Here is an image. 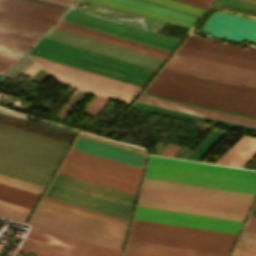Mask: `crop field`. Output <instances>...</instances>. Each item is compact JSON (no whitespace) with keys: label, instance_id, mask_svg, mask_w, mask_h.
Returning <instances> with one entry per match:
<instances>
[{"label":"crop field","instance_id":"obj_1","mask_svg":"<svg viewBox=\"0 0 256 256\" xmlns=\"http://www.w3.org/2000/svg\"><path fill=\"white\" fill-rule=\"evenodd\" d=\"M141 169L70 149L52 185L133 205ZM50 185L45 197L124 220L131 206Z\"/></svg>","mask_w":256,"mask_h":256},{"label":"crop field","instance_id":"obj_21","mask_svg":"<svg viewBox=\"0 0 256 256\" xmlns=\"http://www.w3.org/2000/svg\"><path fill=\"white\" fill-rule=\"evenodd\" d=\"M153 209L243 222L246 215L139 199L138 205Z\"/></svg>","mask_w":256,"mask_h":256},{"label":"crop field","instance_id":"obj_3","mask_svg":"<svg viewBox=\"0 0 256 256\" xmlns=\"http://www.w3.org/2000/svg\"><path fill=\"white\" fill-rule=\"evenodd\" d=\"M68 145L0 124V173L45 186Z\"/></svg>","mask_w":256,"mask_h":256},{"label":"crop field","instance_id":"obj_47","mask_svg":"<svg viewBox=\"0 0 256 256\" xmlns=\"http://www.w3.org/2000/svg\"><path fill=\"white\" fill-rule=\"evenodd\" d=\"M0 22H4V23H7V24H11V25H15V26H19V27H23V28H27V29H31V30H35V31H39V32H43V33H45V31H41V30H37V29H33V28H29V27H26V26H22V25H18V24L10 23V22L3 21V20H0Z\"/></svg>","mask_w":256,"mask_h":256},{"label":"crop field","instance_id":"obj_8","mask_svg":"<svg viewBox=\"0 0 256 256\" xmlns=\"http://www.w3.org/2000/svg\"><path fill=\"white\" fill-rule=\"evenodd\" d=\"M146 177L256 194V180L148 164Z\"/></svg>","mask_w":256,"mask_h":256},{"label":"crop field","instance_id":"obj_37","mask_svg":"<svg viewBox=\"0 0 256 256\" xmlns=\"http://www.w3.org/2000/svg\"><path fill=\"white\" fill-rule=\"evenodd\" d=\"M232 256H256V246L239 241Z\"/></svg>","mask_w":256,"mask_h":256},{"label":"crop field","instance_id":"obj_26","mask_svg":"<svg viewBox=\"0 0 256 256\" xmlns=\"http://www.w3.org/2000/svg\"><path fill=\"white\" fill-rule=\"evenodd\" d=\"M178 51L256 69V62L251 61V60H246V59H242V58H237V57H233V56L210 52V51L197 49V48H193V47H188V46H184V45H181V47L178 49Z\"/></svg>","mask_w":256,"mask_h":256},{"label":"crop field","instance_id":"obj_7","mask_svg":"<svg viewBox=\"0 0 256 256\" xmlns=\"http://www.w3.org/2000/svg\"><path fill=\"white\" fill-rule=\"evenodd\" d=\"M21 251L41 256H122L120 251L32 226Z\"/></svg>","mask_w":256,"mask_h":256},{"label":"crop field","instance_id":"obj_5","mask_svg":"<svg viewBox=\"0 0 256 256\" xmlns=\"http://www.w3.org/2000/svg\"><path fill=\"white\" fill-rule=\"evenodd\" d=\"M236 235L134 219L132 239L228 253Z\"/></svg>","mask_w":256,"mask_h":256},{"label":"crop field","instance_id":"obj_36","mask_svg":"<svg viewBox=\"0 0 256 256\" xmlns=\"http://www.w3.org/2000/svg\"><path fill=\"white\" fill-rule=\"evenodd\" d=\"M0 29L10 31L13 33H17V34H21V35H25V36H29V37H33V38H37V39H39L43 35V33L7 25L4 23H0Z\"/></svg>","mask_w":256,"mask_h":256},{"label":"crop field","instance_id":"obj_38","mask_svg":"<svg viewBox=\"0 0 256 256\" xmlns=\"http://www.w3.org/2000/svg\"><path fill=\"white\" fill-rule=\"evenodd\" d=\"M80 136H84V137H87V138H90V139H94V140H97V141H101V142H104V143H107V144H111V145H114V146H118V147H121V148H124V149H128V150L135 151V152L146 155L145 151L142 150L143 148L140 149V148H136V147H132V146L112 142V141H109V140H106V139H103V138H100V137H96V136H93V135H90V134H87V133H84V132H81Z\"/></svg>","mask_w":256,"mask_h":256},{"label":"crop field","instance_id":"obj_29","mask_svg":"<svg viewBox=\"0 0 256 256\" xmlns=\"http://www.w3.org/2000/svg\"><path fill=\"white\" fill-rule=\"evenodd\" d=\"M115 1H119V2L126 3V4H129V5H133V6H136V7L144 8V9H147V10H151V11H154V12H158V13H161V14H165V15H168V16H172V17L179 18V19L186 20V21L193 22V23H195L196 20L198 19V17H194V16H191V15L180 13V12H177V11H173V10L166 9V8H163V7H159V6H156V5H152V4H149V3L141 2V1H138V0H115Z\"/></svg>","mask_w":256,"mask_h":256},{"label":"crop field","instance_id":"obj_49","mask_svg":"<svg viewBox=\"0 0 256 256\" xmlns=\"http://www.w3.org/2000/svg\"><path fill=\"white\" fill-rule=\"evenodd\" d=\"M47 1L55 2V3H59V4H63V5H67V6H69V5H70V3H66V2H62V1H58V0H47Z\"/></svg>","mask_w":256,"mask_h":256},{"label":"crop field","instance_id":"obj_20","mask_svg":"<svg viewBox=\"0 0 256 256\" xmlns=\"http://www.w3.org/2000/svg\"><path fill=\"white\" fill-rule=\"evenodd\" d=\"M256 157V138L243 135L215 163L243 168Z\"/></svg>","mask_w":256,"mask_h":256},{"label":"crop field","instance_id":"obj_53","mask_svg":"<svg viewBox=\"0 0 256 256\" xmlns=\"http://www.w3.org/2000/svg\"><path fill=\"white\" fill-rule=\"evenodd\" d=\"M253 214H256V207H255V209H254V211H253Z\"/></svg>","mask_w":256,"mask_h":256},{"label":"crop field","instance_id":"obj_51","mask_svg":"<svg viewBox=\"0 0 256 256\" xmlns=\"http://www.w3.org/2000/svg\"><path fill=\"white\" fill-rule=\"evenodd\" d=\"M62 1H66V2L72 3L74 0H62Z\"/></svg>","mask_w":256,"mask_h":256},{"label":"crop field","instance_id":"obj_30","mask_svg":"<svg viewBox=\"0 0 256 256\" xmlns=\"http://www.w3.org/2000/svg\"><path fill=\"white\" fill-rule=\"evenodd\" d=\"M97 1L104 2V3L114 5V6H117V7H121V8L131 10V11H134V12H138V13H141V14H145V15L155 17V18H158V19H162V20L172 22V23H175V24H179V25H182V26H185V27L191 28L192 25H193L192 23H189V22H186V21H182V20H179V19H175V18H172V17H168V16H165V15H161V14L154 13V12H151V11H147V10H144V9L136 8V7L129 6V5H126V4H122V3H119V2H115V1H112V0H97Z\"/></svg>","mask_w":256,"mask_h":256},{"label":"crop field","instance_id":"obj_54","mask_svg":"<svg viewBox=\"0 0 256 256\" xmlns=\"http://www.w3.org/2000/svg\"><path fill=\"white\" fill-rule=\"evenodd\" d=\"M30 118V117H29ZM34 119V118H33ZM37 120V119H36ZM41 121V120H40ZM48 123V122H47ZM52 124V123H51ZM55 125V124H54ZM59 126V125H58ZM62 127V126H61ZM72 130V129H71Z\"/></svg>","mask_w":256,"mask_h":256},{"label":"crop field","instance_id":"obj_25","mask_svg":"<svg viewBox=\"0 0 256 256\" xmlns=\"http://www.w3.org/2000/svg\"><path fill=\"white\" fill-rule=\"evenodd\" d=\"M39 194L0 184V200L33 208Z\"/></svg>","mask_w":256,"mask_h":256},{"label":"crop field","instance_id":"obj_24","mask_svg":"<svg viewBox=\"0 0 256 256\" xmlns=\"http://www.w3.org/2000/svg\"><path fill=\"white\" fill-rule=\"evenodd\" d=\"M146 92L256 116V110L148 86Z\"/></svg>","mask_w":256,"mask_h":256},{"label":"crop field","instance_id":"obj_4","mask_svg":"<svg viewBox=\"0 0 256 256\" xmlns=\"http://www.w3.org/2000/svg\"><path fill=\"white\" fill-rule=\"evenodd\" d=\"M37 56L144 86L155 69L44 38L30 52ZM134 84V85H135ZM141 86V87H142Z\"/></svg>","mask_w":256,"mask_h":256},{"label":"crop field","instance_id":"obj_6","mask_svg":"<svg viewBox=\"0 0 256 256\" xmlns=\"http://www.w3.org/2000/svg\"><path fill=\"white\" fill-rule=\"evenodd\" d=\"M60 83L130 103L142 88L128 82L31 55Z\"/></svg>","mask_w":256,"mask_h":256},{"label":"crop field","instance_id":"obj_46","mask_svg":"<svg viewBox=\"0 0 256 256\" xmlns=\"http://www.w3.org/2000/svg\"><path fill=\"white\" fill-rule=\"evenodd\" d=\"M0 61H4V62L14 64L17 61V59H13V58H9V57H5V56L0 55Z\"/></svg>","mask_w":256,"mask_h":256},{"label":"crop field","instance_id":"obj_28","mask_svg":"<svg viewBox=\"0 0 256 256\" xmlns=\"http://www.w3.org/2000/svg\"><path fill=\"white\" fill-rule=\"evenodd\" d=\"M36 41L37 39L0 30V45L2 46L26 52Z\"/></svg>","mask_w":256,"mask_h":256},{"label":"crop field","instance_id":"obj_43","mask_svg":"<svg viewBox=\"0 0 256 256\" xmlns=\"http://www.w3.org/2000/svg\"><path fill=\"white\" fill-rule=\"evenodd\" d=\"M41 67L37 65L35 62L29 66L22 74L31 77L35 72H37Z\"/></svg>","mask_w":256,"mask_h":256},{"label":"crop field","instance_id":"obj_40","mask_svg":"<svg viewBox=\"0 0 256 256\" xmlns=\"http://www.w3.org/2000/svg\"><path fill=\"white\" fill-rule=\"evenodd\" d=\"M193 6L206 9L213 0H176Z\"/></svg>","mask_w":256,"mask_h":256},{"label":"crop field","instance_id":"obj_18","mask_svg":"<svg viewBox=\"0 0 256 256\" xmlns=\"http://www.w3.org/2000/svg\"><path fill=\"white\" fill-rule=\"evenodd\" d=\"M0 11L53 24L64 10L25 0H0Z\"/></svg>","mask_w":256,"mask_h":256},{"label":"crop field","instance_id":"obj_50","mask_svg":"<svg viewBox=\"0 0 256 256\" xmlns=\"http://www.w3.org/2000/svg\"><path fill=\"white\" fill-rule=\"evenodd\" d=\"M249 222L255 223L256 224V215H251Z\"/></svg>","mask_w":256,"mask_h":256},{"label":"crop field","instance_id":"obj_22","mask_svg":"<svg viewBox=\"0 0 256 256\" xmlns=\"http://www.w3.org/2000/svg\"><path fill=\"white\" fill-rule=\"evenodd\" d=\"M148 163L256 179V172L254 171L239 170L162 157L150 156Z\"/></svg>","mask_w":256,"mask_h":256},{"label":"crop field","instance_id":"obj_35","mask_svg":"<svg viewBox=\"0 0 256 256\" xmlns=\"http://www.w3.org/2000/svg\"><path fill=\"white\" fill-rule=\"evenodd\" d=\"M150 1L157 2V3H160V4H164V5H167V6H171V7H174V8H178V9H181V10H185V11L192 12V13L199 14V15H201L202 12L204 11V9L193 7V6L183 4V3H180V2H176V1H173V0H150Z\"/></svg>","mask_w":256,"mask_h":256},{"label":"crop field","instance_id":"obj_34","mask_svg":"<svg viewBox=\"0 0 256 256\" xmlns=\"http://www.w3.org/2000/svg\"><path fill=\"white\" fill-rule=\"evenodd\" d=\"M59 24H63V25H66V26H70V27L77 28V29H80V30H84V31H87V32H90V33H94V34H97V35H101V36H104V37H108V38H111V39H115V40H118V41H122V42H125V43H129V44H132V45H136V46H139V47H142V48H146V49H149V50H153V51H156V52H160V53L169 55V52H165V51H162V50H158V49H155V48L144 46V45H141V44H138V43H134V42L127 41V40H124V39H120V38H117V37L106 35V34H103V33L92 31V30L82 28V27H79V26H75V25H72V24H68V23H65V22L59 21Z\"/></svg>","mask_w":256,"mask_h":256},{"label":"crop field","instance_id":"obj_41","mask_svg":"<svg viewBox=\"0 0 256 256\" xmlns=\"http://www.w3.org/2000/svg\"><path fill=\"white\" fill-rule=\"evenodd\" d=\"M239 240L256 245V234L244 230Z\"/></svg>","mask_w":256,"mask_h":256},{"label":"crop field","instance_id":"obj_33","mask_svg":"<svg viewBox=\"0 0 256 256\" xmlns=\"http://www.w3.org/2000/svg\"><path fill=\"white\" fill-rule=\"evenodd\" d=\"M27 215H28V212H24V211L14 209L11 207H7V206L0 204V216L1 217L24 223Z\"/></svg>","mask_w":256,"mask_h":256},{"label":"crop field","instance_id":"obj_32","mask_svg":"<svg viewBox=\"0 0 256 256\" xmlns=\"http://www.w3.org/2000/svg\"><path fill=\"white\" fill-rule=\"evenodd\" d=\"M0 183L7 184V185H10V186H14V187H18V188L25 189V190H28V191H32V192H35V193H39V194L41 193V191L43 189V186H39V185H36V184H32V183H29V182H25V181H22V180H18V179H15V178L4 176V175H1V174H0Z\"/></svg>","mask_w":256,"mask_h":256},{"label":"crop field","instance_id":"obj_14","mask_svg":"<svg viewBox=\"0 0 256 256\" xmlns=\"http://www.w3.org/2000/svg\"><path fill=\"white\" fill-rule=\"evenodd\" d=\"M28 224L68 235L74 238L118 249L120 251L122 249L124 241L123 238H119L35 213H33Z\"/></svg>","mask_w":256,"mask_h":256},{"label":"crop field","instance_id":"obj_42","mask_svg":"<svg viewBox=\"0 0 256 256\" xmlns=\"http://www.w3.org/2000/svg\"><path fill=\"white\" fill-rule=\"evenodd\" d=\"M178 149L179 146L168 144V146L165 148L161 155L173 157V155L176 153Z\"/></svg>","mask_w":256,"mask_h":256},{"label":"crop field","instance_id":"obj_12","mask_svg":"<svg viewBox=\"0 0 256 256\" xmlns=\"http://www.w3.org/2000/svg\"><path fill=\"white\" fill-rule=\"evenodd\" d=\"M46 38H50L53 40H57L60 42H64L67 44H71L74 46H78L81 48H85L88 50H92L95 52H99L102 54H106L109 56H113L116 58H120L123 60H127L130 62H134L144 66L155 68V69H157L160 66V64L163 62V60H159L153 57H149L143 54L122 49L116 46H112L106 43H102L96 40L85 38V37L75 35V34L65 32L55 28H53L50 31V33L46 36Z\"/></svg>","mask_w":256,"mask_h":256},{"label":"crop field","instance_id":"obj_31","mask_svg":"<svg viewBox=\"0 0 256 256\" xmlns=\"http://www.w3.org/2000/svg\"><path fill=\"white\" fill-rule=\"evenodd\" d=\"M0 19L18 23V24H22V25H26L29 27L37 28V29H41V30H45V31H47L49 29V27L51 26L50 24H46V23L14 16V15L6 14V13H2V12H0Z\"/></svg>","mask_w":256,"mask_h":256},{"label":"crop field","instance_id":"obj_27","mask_svg":"<svg viewBox=\"0 0 256 256\" xmlns=\"http://www.w3.org/2000/svg\"><path fill=\"white\" fill-rule=\"evenodd\" d=\"M55 28H59V29L69 31V32H72V33H75V34H79V35H82V36H85V37H89V38L96 39V40H99V41H102V42H106V43H109V44H112V45H116V46H119V47H122V48L133 50V51L143 53V54H146V55H149V56H153V57H156V58H159V59L165 60L166 57H167V55H163V54H160V53H156V52H153V51L142 49V48H139V47H136V46H132V45L125 44V43H122V42H118V41H115V40L104 38V37H101V36L90 34V33L80 31V30H77V29H73V28H70V27H66V26H63V25L57 24L55 26Z\"/></svg>","mask_w":256,"mask_h":256},{"label":"crop field","instance_id":"obj_13","mask_svg":"<svg viewBox=\"0 0 256 256\" xmlns=\"http://www.w3.org/2000/svg\"><path fill=\"white\" fill-rule=\"evenodd\" d=\"M64 19L82 23V24H85L88 26H92L95 28L113 32V33H116L119 35H123L126 37L144 41V42L154 44L157 46H161L164 48H168L171 50H173L174 47L179 42V40H175V39L168 38L165 36L157 35L154 33H150V32L143 31V30L136 29V28L129 27V26H125L122 24H118L115 22H111L108 20H104L101 18L86 15V14L79 13V12L72 11V10L69 11V13L64 17Z\"/></svg>","mask_w":256,"mask_h":256},{"label":"crop field","instance_id":"obj_2","mask_svg":"<svg viewBox=\"0 0 256 256\" xmlns=\"http://www.w3.org/2000/svg\"><path fill=\"white\" fill-rule=\"evenodd\" d=\"M165 69L256 89V70L176 52ZM162 69L151 86L256 109V90Z\"/></svg>","mask_w":256,"mask_h":256},{"label":"crop field","instance_id":"obj_39","mask_svg":"<svg viewBox=\"0 0 256 256\" xmlns=\"http://www.w3.org/2000/svg\"><path fill=\"white\" fill-rule=\"evenodd\" d=\"M218 1L256 10V4L250 3V2H245L241 0H218Z\"/></svg>","mask_w":256,"mask_h":256},{"label":"crop field","instance_id":"obj_11","mask_svg":"<svg viewBox=\"0 0 256 256\" xmlns=\"http://www.w3.org/2000/svg\"><path fill=\"white\" fill-rule=\"evenodd\" d=\"M137 219L237 234L242 223L137 207Z\"/></svg>","mask_w":256,"mask_h":256},{"label":"crop field","instance_id":"obj_23","mask_svg":"<svg viewBox=\"0 0 256 256\" xmlns=\"http://www.w3.org/2000/svg\"><path fill=\"white\" fill-rule=\"evenodd\" d=\"M183 44L256 61L255 50H250L192 36H189Z\"/></svg>","mask_w":256,"mask_h":256},{"label":"crop field","instance_id":"obj_16","mask_svg":"<svg viewBox=\"0 0 256 256\" xmlns=\"http://www.w3.org/2000/svg\"><path fill=\"white\" fill-rule=\"evenodd\" d=\"M135 256H226L227 254L129 239L126 253Z\"/></svg>","mask_w":256,"mask_h":256},{"label":"crop field","instance_id":"obj_44","mask_svg":"<svg viewBox=\"0 0 256 256\" xmlns=\"http://www.w3.org/2000/svg\"><path fill=\"white\" fill-rule=\"evenodd\" d=\"M12 66V64L0 62V73L4 74Z\"/></svg>","mask_w":256,"mask_h":256},{"label":"crop field","instance_id":"obj_56","mask_svg":"<svg viewBox=\"0 0 256 256\" xmlns=\"http://www.w3.org/2000/svg\"><path fill=\"white\" fill-rule=\"evenodd\" d=\"M124 256H128V255H124Z\"/></svg>","mask_w":256,"mask_h":256},{"label":"crop field","instance_id":"obj_19","mask_svg":"<svg viewBox=\"0 0 256 256\" xmlns=\"http://www.w3.org/2000/svg\"><path fill=\"white\" fill-rule=\"evenodd\" d=\"M142 186L194 193V194L207 195V196H214V197H221V198H228V199H235V200H242V201H249V202H252L255 197V195L253 194L200 187V186L187 185V184L174 183V182L161 181V180H154V179H148V178L144 179Z\"/></svg>","mask_w":256,"mask_h":256},{"label":"crop field","instance_id":"obj_55","mask_svg":"<svg viewBox=\"0 0 256 256\" xmlns=\"http://www.w3.org/2000/svg\"><path fill=\"white\" fill-rule=\"evenodd\" d=\"M2 77V74H0V78Z\"/></svg>","mask_w":256,"mask_h":256},{"label":"crop field","instance_id":"obj_52","mask_svg":"<svg viewBox=\"0 0 256 256\" xmlns=\"http://www.w3.org/2000/svg\"><path fill=\"white\" fill-rule=\"evenodd\" d=\"M246 1H250V2H254V3H256V0H246Z\"/></svg>","mask_w":256,"mask_h":256},{"label":"crop field","instance_id":"obj_17","mask_svg":"<svg viewBox=\"0 0 256 256\" xmlns=\"http://www.w3.org/2000/svg\"><path fill=\"white\" fill-rule=\"evenodd\" d=\"M137 101L256 128V120L250 119V118L231 115V114H227V113L208 110V109L185 105V104H181V103L171 102V101L148 97V96H144V95H141Z\"/></svg>","mask_w":256,"mask_h":256},{"label":"crop field","instance_id":"obj_15","mask_svg":"<svg viewBox=\"0 0 256 256\" xmlns=\"http://www.w3.org/2000/svg\"><path fill=\"white\" fill-rule=\"evenodd\" d=\"M72 149L83 151L89 154L107 158L141 169L143 168L146 157L145 155H141L135 152L124 150L80 136H78L77 140L73 144Z\"/></svg>","mask_w":256,"mask_h":256},{"label":"crop field","instance_id":"obj_9","mask_svg":"<svg viewBox=\"0 0 256 256\" xmlns=\"http://www.w3.org/2000/svg\"><path fill=\"white\" fill-rule=\"evenodd\" d=\"M35 213L116 235L125 237L127 223L119 222L109 218L90 214L80 210L61 206L51 202L41 200Z\"/></svg>","mask_w":256,"mask_h":256},{"label":"crop field","instance_id":"obj_45","mask_svg":"<svg viewBox=\"0 0 256 256\" xmlns=\"http://www.w3.org/2000/svg\"><path fill=\"white\" fill-rule=\"evenodd\" d=\"M0 203H1V204H4V205H7V206L14 207V208H18V209H21V210H24V211H28V212L31 211V209H27V208H24V207H20V206H17V205H14V204H10V203H7V202L0 201Z\"/></svg>","mask_w":256,"mask_h":256},{"label":"crop field","instance_id":"obj_48","mask_svg":"<svg viewBox=\"0 0 256 256\" xmlns=\"http://www.w3.org/2000/svg\"><path fill=\"white\" fill-rule=\"evenodd\" d=\"M141 1L149 2V3H152V4H156V5H159V6H163V7H166V8H170V9H173V10H177V11H180V12H184V13L191 14V15L198 16V17H199V15H195V14H192V13H188V12H185V11H181V10H178V9H174V8L167 7V6H164V5H160V4H157V3H153V2H150V1H146V0H141Z\"/></svg>","mask_w":256,"mask_h":256},{"label":"crop field","instance_id":"obj_10","mask_svg":"<svg viewBox=\"0 0 256 256\" xmlns=\"http://www.w3.org/2000/svg\"><path fill=\"white\" fill-rule=\"evenodd\" d=\"M155 201L246 214L251 203L142 187L140 197Z\"/></svg>","mask_w":256,"mask_h":256}]
</instances>
